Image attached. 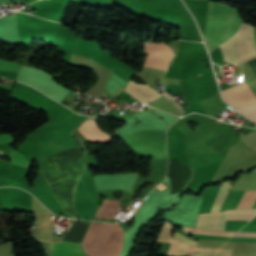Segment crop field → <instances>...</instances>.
Masks as SVG:
<instances>
[{"label": "crop field", "instance_id": "6", "mask_svg": "<svg viewBox=\"0 0 256 256\" xmlns=\"http://www.w3.org/2000/svg\"><path fill=\"white\" fill-rule=\"evenodd\" d=\"M222 94L226 101L239 109L246 105L256 103V96L247 82L223 90Z\"/></svg>", "mask_w": 256, "mask_h": 256}, {"label": "crop field", "instance_id": "10", "mask_svg": "<svg viewBox=\"0 0 256 256\" xmlns=\"http://www.w3.org/2000/svg\"><path fill=\"white\" fill-rule=\"evenodd\" d=\"M226 213L227 211L221 213L201 214L199 215L196 227L223 230Z\"/></svg>", "mask_w": 256, "mask_h": 256}, {"label": "crop field", "instance_id": "3", "mask_svg": "<svg viewBox=\"0 0 256 256\" xmlns=\"http://www.w3.org/2000/svg\"><path fill=\"white\" fill-rule=\"evenodd\" d=\"M72 52L89 57L101 63L127 82L135 73V71L131 70L123 63L117 61V59H110L111 53L106 50L101 51L98 48V43L94 41H83L76 37Z\"/></svg>", "mask_w": 256, "mask_h": 256}, {"label": "crop field", "instance_id": "15", "mask_svg": "<svg viewBox=\"0 0 256 256\" xmlns=\"http://www.w3.org/2000/svg\"><path fill=\"white\" fill-rule=\"evenodd\" d=\"M244 193H245V191H238V193H237L236 197L234 198L233 202L231 203L229 209H237V207H238V205H239V203H240ZM252 193H253V191H246V193H245V195H244V197H243V199H242L238 209L246 207V205H247V203H248Z\"/></svg>", "mask_w": 256, "mask_h": 256}, {"label": "crop field", "instance_id": "4", "mask_svg": "<svg viewBox=\"0 0 256 256\" xmlns=\"http://www.w3.org/2000/svg\"><path fill=\"white\" fill-rule=\"evenodd\" d=\"M53 76L36 68L23 66L15 80L29 83L58 101L71 91L52 79Z\"/></svg>", "mask_w": 256, "mask_h": 256}, {"label": "crop field", "instance_id": "13", "mask_svg": "<svg viewBox=\"0 0 256 256\" xmlns=\"http://www.w3.org/2000/svg\"><path fill=\"white\" fill-rule=\"evenodd\" d=\"M120 202L104 199L96 217H104L113 219L115 212L119 207Z\"/></svg>", "mask_w": 256, "mask_h": 256}, {"label": "crop field", "instance_id": "8", "mask_svg": "<svg viewBox=\"0 0 256 256\" xmlns=\"http://www.w3.org/2000/svg\"><path fill=\"white\" fill-rule=\"evenodd\" d=\"M75 212L80 217L94 218L98 207L83 192L81 180L74 190Z\"/></svg>", "mask_w": 256, "mask_h": 256}, {"label": "crop field", "instance_id": "17", "mask_svg": "<svg viewBox=\"0 0 256 256\" xmlns=\"http://www.w3.org/2000/svg\"><path fill=\"white\" fill-rule=\"evenodd\" d=\"M0 68L19 72V70L22 68V65L0 59Z\"/></svg>", "mask_w": 256, "mask_h": 256}, {"label": "crop field", "instance_id": "9", "mask_svg": "<svg viewBox=\"0 0 256 256\" xmlns=\"http://www.w3.org/2000/svg\"><path fill=\"white\" fill-rule=\"evenodd\" d=\"M51 256H86L80 244L62 240L59 243H50Z\"/></svg>", "mask_w": 256, "mask_h": 256}, {"label": "crop field", "instance_id": "21", "mask_svg": "<svg viewBox=\"0 0 256 256\" xmlns=\"http://www.w3.org/2000/svg\"><path fill=\"white\" fill-rule=\"evenodd\" d=\"M234 236H250V237H256V233L252 232H238Z\"/></svg>", "mask_w": 256, "mask_h": 256}, {"label": "crop field", "instance_id": "2", "mask_svg": "<svg viewBox=\"0 0 256 256\" xmlns=\"http://www.w3.org/2000/svg\"><path fill=\"white\" fill-rule=\"evenodd\" d=\"M104 224L91 223L82 241L83 249L88 255H90ZM122 240V229L116 225L106 224L90 256L119 255Z\"/></svg>", "mask_w": 256, "mask_h": 256}, {"label": "crop field", "instance_id": "20", "mask_svg": "<svg viewBox=\"0 0 256 256\" xmlns=\"http://www.w3.org/2000/svg\"><path fill=\"white\" fill-rule=\"evenodd\" d=\"M5 142H13L11 134L1 135L0 136V143H5Z\"/></svg>", "mask_w": 256, "mask_h": 256}, {"label": "crop field", "instance_id": "12", "mask_svg": "<svg viewBox=\"0 0 256 256\" xmlns=\"http://www.w3.org/2000/svg\"><path fill=\"white\" fill-rule=\"evenodd\" d=\"M256 189V170L250 175H241L239 180L235 182L231 190H249Z\"/></svg>", "mask_w": 256, "mask_h": 256}, {"label": "crop field", "instance_id": "5", "mask_svg": "<svg viewBox=\"0 0 256 256\" xmlns=\"http://www.w3.org/2000/svg\"><path fill=\"white\" fill-rule=\"evenodd\" d=\"M145 54H148L143 65L166 70L173 51L163 43H145Z\"/></svg>", "mask_w": 256, "mask_h": 256}, {"label": "crop field", "instance_id": "18", "mask_svg": "<svg viewBox=\"0 0 256 256\" xmlns=\"http://www.w3.org/2000/svg\"><path fill=\"white\" fill-rule=\"evenodd\" d=\"M256 107V104L254 105ZM250 105L248 107H245L242 112H244L247 116H249L251 119L256 121V108Z\"/></svg>", "mask_w": 256, "mask_h": 256}, {"label": "crop field", "instance_id": "16", "mask_svg": "<svg viewBox=\"0 0 256 256\" xmlns=\"http://www.w3.org/2000/svg\"><path fill=\"white\" fill-rule=\"evenodd\" d=\"M12 163L18 164L20 166L25 167L27 164V160L25 158V156L21 153H17L12 151L11 154L9 155Z\"/></svg>", "mask_w": 256, "mask_h": 256}, {"label": "crop field", "instance_id": "14", "mask_svg": "<svg viewBox=\"0 0 256 256\" xmlns=\"http://www.w3.org/2000/svg\"><path fill=\"white\" fill-rule=\"evenodd\" d=\"M231 186H232L231 182H225L222 184V186L218 192V195L216 197V200L213 204L211 212L220 210L222 203H223L228 191L230 190Z\"/></svg>", "mask_w": 256, "mask_h": 256}, {"label": "crop field", "instance_id": "19", "mask_svg": "<svg viewBox=\"0 0 256 256\" xmlns=\"http://www.w3.org/2000/svg\"><path fill=\"white\" fill-rule=\"evenodd\" d=\"M173 237H174V238H177V239H179V240H182V241H185V242H188V243H191V244L197 246V243H196L195 240L190 239V238H188V237H185V236H183V235H181V234H178V233H176V232L174 233V236H173Z\"/></svg>", "mask_w": 256, "mask_h": 256}, {"label": "crop field", "instance_id": "1", "mask_svg": "<svg viewBox=\"0 0 256 256\" xmlns=\"http://www.w3.org/2000/svg\"><path fill=\"white\" fill-rule=\"evenodd\" d=\"M240 22L241 19L236 9L209 1L206 29L203 35L209 52L232 36Z\"/></svg>", "mask_w": 256, "mask_h": 256}, {"label": "crop field", "instance_id": "7", "mask_svg": "<svg viewBox=\"0 0 256 256\" xmlns=\"http://www.w3.org/2000/svg\"><path fill=\"white\" fill-rule=\"evenodd\" d=\"M191 168L181 164L180 160L170 159L168 177L171 180V194L177 193L191 176Z\"/></svg>", "mask_w": 256, "mask_h": 256}, {"label": "crop field", "instance_id": "11", "mask_svg": "<svg viewBox=\"0 0 256 256\" xmlns=\"http://www.w3.org/2000/svg\"><path fill=\"white\" fill-rule=\"evenodd\" d=\"M39 238L53 241L51 212H37Z\"/></svg>", "mask_w": 256, "mask_h": 256}]
</instances>
